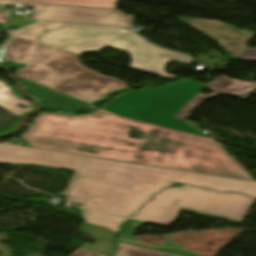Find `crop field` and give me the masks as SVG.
<instances>
[{
  "label": "crop field",
  "instance_id": "1",
  "mask_svg": "<svg viewBox=\"0 0 256 256\" xmlns=\"http://www.w3.org/2000/svg\"><path fill=\"white\" fill-rule=\"evenodd\" d=\"M144 133L130 139L127 127ZM36 148L251 180L212 140L99 109L71 116L42 113L20 135Z\"/></svg>",
  "mask_w": 256,
  "mask_h": 256
},
{
  "label": "crop field",
  "instance_id": "2",
  "mask_svg": "<svg viewBox=\"0 0 256 256\" xmlns=\"http://www.w3.org/2000/svg\"><path fill=\"white\" fill-rule=\"evenodd\" d=\"M177 182L256 196L252 182L85 157L62 197L85 208L130 217L154 194Z\"/></svg>",
  "mask_w": 256,
  "mask_h": 256
},
{
  "label": "crop field",
  "instance_id": "3",
  "mask_svg": "<svg viewBox=\"0 0 256 256\" xmlns=\"http://www.w3.org/2000/svg\"><path fill=\"white\" fill-rule=\"evenodd\" d=\"M12 43L3 57L28 67L19 76L86 103L106 99L107 95L128 89L120 80L99 75L78 63V54L10 36Z\"/></svg>",
  "mask_w": 256,
  "mask_h": 256
},
{
  "label": "crop field",
  "instance_id": "4",
  "mask_svg": "<svg viewBox=\"0 0 256 256\" xmlns=\"http://www.w3.org/2000/svg\"><path fill=\"white\" fill-rule=\"evenodd\" d=\"M12 36L78 54L85 50L98 52L105 46L114 47L131 54L130 68L172 79L176 76L164 71L169 60L188 64L193 61L187 56L155 47L131 31L116 28L41 22L25 27Z\"/></svg>",
  "mask_w": 256,
  "mask_h": 256
},
{
  "label": "crop field",
  "instance_id": "5",
  "mask_svg": "<svg viewBox=\"0 0 256 256\" xmlns=\"http://www.w3.org/2000/svg\"><path fill=\"white\" fill-rule=\"evenodd\" d=\"M256 198L237 193H218L185 185L154 196L132 218L167 225L179 209L240 223Z\"/></svg>",
  "mask_w": 256,
  "mask_h": 256
},
{
  "label": "crop field",
  "instance_id": "6",
  "mask_svg": "<svg viewBox=\"0 0 256 256\" xmlns=\"http://www.w3.org/2000/svg\"><path fill=\"white\" fill-rule=\"evenodd\" d=\"M205 86L186 80L159 89L130 91L114 97L101 108L119 116L206 137L194 122L171 117Z\"/></svg>",
  "mask_w": 256,
  "mask_h": 256
},
{
  "label": "crop field",
  "instance_id": "7",
  "mask_svg": "<svg viewBox=\"0 0 256 256\" xmlns=\"http://www.w3.org/2000/svg\"><path fill=\"white\" fill-rule=\"evenodd\" d=\"M32 19L132 28L134 18L120 10L37 3Z\"/></svg>",
  "mask_w": 256,
  "mask_h": 256
},
{
  "label": "crop field",
  "instance_id": "8",
  "mask_svg": "<svg viewBox=\"0 0 256 256\" xmlns=\"http://www.w3.org/2000/svg\"><path fill=\"white\" fill-rule=\"evenodd\" d=\"M84 157L0 144V163L36 164L77 171Z\"/></svg>",
  "mask_w": 256,
  "mask_h": 256
},
{
  "label": "crop field",
  "instance_id": "9",
  "mask_svg": "<svg viewBox=\"0 0 256 256\" xmlns=\"http://www.w3.org/2000/svg\"><path fill=\"white\" fill-rule=\"evenodd\" d=\"M176 18L217 40L220 48L233 55L231 58L234 59H237L248 48L245 43L255 35L253 32L238 30L221 21L187 17Z\"/></svg>",
  "mask_w": 256,
  "mask_h": 256
},
{
  "label": "crop field",
  "instance_id": "10",
  "mask_svg": "<svg viewBox=\"0 0 256 256\" xmlns=\"http://www.w3.org/2000/svg\"><path fill=\"white\" fill-rule=\"evenodd\" d=\"M256 87V82H242L233 80L225 76L217 77V79L207 85L206 89L214 90L211 95H205L199 93L190 102H188L183 108H181L174 117L185 119L190 113H192L202 102H204L209 96L216 94H230L235 96H241L251 89Z\"/></svg>",
  "mask_w": 256,
  "mask_h": 256
},
{
  "label": "crop field",
  "instance_id": "11",
  "mask_svg": "<svg viewBox=\"0 0 256 256\" xmlns=\"http://www.w3.org/2000/svg\"><path fill=\"white\" fill-rule=\"evenodd\" d=\"M27 83L31 90H35L33 94L43 99L46 104L45 107L65 109H85L89 107V104L58 93L31 81H28Z\"/></svg>",
  "mask_w": 256,
  "mask_h": 256
},
{
  "label": "crop field",
  "instance_id": "12",
  "mask_svg": "<svg viewBox=\"0 0 256 256\" xmlns=\"http://www.w3.org/2000/svg\"><path fill=\"white\" fill-rule=\"evenodd\" d=\"M79 230L81 232L92 235L95 238L93 245L84 243L78 249L108 255L112 252L113 244L112 240L116 236V232L106 230L102 227L95 226L88 223H83Z\"/></svg>",
  "mask_w": 256,
  "mask_h": 256
},
{
  "label": "crop field",
  "instance_id": "13",
  "mask_svg": "<svg viewBox=\"0 0 256 256\" xmlns=\"http://www.w3.org/2000/svg\"><path fill=\"white\" fill-rule=\"evenodd\" d=\"M24 104L27 108H19L18 105ZM32 106L18 99L9 89L0 93V129L12 124L16 116L29 111Z\"/></svg>",
  "mask_w": 256,
  "mask_h": 256
},
{
  "label": "crop field",
  "instance_id": "14",
  "mask_svg": "<svg viewBox=\"0 0 256 256\" xmlns=\"http://www.w3.org/2000/svg\"><path fill=\"white\" fill-rule=\"evenodd\" d=\"M167 238V244L164 245H158V244H153L152 246L147 245L142 243L140 240H138L135 237H131L128 235H124L120 233V239L119 242L159 251V252H164L172 255H177V256H204L196 252H192L189 250L183 249L185 245H180V244H173V234H166Z\"/></svg>",
  "mask_w": 256,
  "mask_h": 256
},
{
  "label": "crop field",
  "instance_id": "15",
  "mask_svg": "<svg viewBox=\"0 0 256 256\" xmlns=\"http://www.w3.org/2000/svg\"><path fill=\"white\" fill-rule=\"evenodd\" d=\"M84 214V221L95 225L102 226L106 229L118 231L119 225L125 220V218L116 217L108 214L94 212L80 208Z\"/></svg>",
  "mask_w": 256,
  "mask_h": 256
},
{
  "label": "crop field",
  "instance_id": "16",
  "mask_svg": "<svg viewBox=\"0 0 256 256\" xmlns=\"http://www.w3.org/2000/svg\"><path fill=\"white\" fill-rule=\"evenodd\" d=\"M32 1L115 9L117 0H32Z\"/></svg>",
  "mask_w": 256,
  "mask_h": 256
},
{
  "label": "crop field",
  "instance_id": "17",
  "mask_svg": "<svg viewBox=\"0 0 256 256\" xmlns=\"http://www.w3.org/2000/svg\"><path fill=\"white\" fill-rule=\"evenodd\" d=\"M116 256H172L164 253H159L127 244L120 243Z\"/></svg>",
  "mask_w": 256,
  "mask_h": 256
},
{
  "label": "crop field",
  "instance_id": "18",
  "mask_svg": "<svg viewBox=\"0 0 256 256\" xmlns=\"http://www.w3.org/2000/svg\"><path fill=\"white\" fill-rule=\"evenodd\" d=\"M10 88H11V90L13 91V93H14L18 98H20V99L26 101V100L22 97V93H21V91L19 90V88H18L17 86L14 85V86H12V87H10ZM26 102L29 103L28 101H26ZM29 104H31V105L33 106V109H32L31 111H29V112L34 111V110H35V104H34L33 102H31V103H29ZM29 112H26V113L20 115L19 117H17V118L15 119L14 123H13L11 126L5 128V129L0 130V135H5V134H8V133L14 131V130L17 128L16 123H17L18 119L21 118L22 116H24L25 114L29 113Z\"/></svg>",
  "mask_w": 256,
  "mask_h": 256
},
{
  "label": "crop field",
  "instance_id": "19",
  "mask_svg": "<svg viewBox=\"0 0 256 256\" xmlns=\"http://www.w3.org/2000/svg\"><path fill=\"white\" fill-rule=\"evenodd\" d=\"M143 224H145V222L135 221V220L129 219L127 222H125L121 226L120 232L133 236L135 231H136V228L143 225Z\"/></svg>",
  "mask_w": 256,
  "mask_h": 256
},
{
  "label": "crop field",
  "instance_id": "20",
  "mask_svg": "<svg viewBox=\"0 0 256 256\" xmlns=\"http://www.w3.org/2000/svg\"><path fill=\"white\" fill-rule=\"evenodd\" d=\"M238 59L256 61V49L248 48Z\"/></svg>",
  "mask_w": 256,
  "mask_h": 256
},
{
  "label": "crop field",
  "instance_id": "21",
  "mask_svg": "<svg viewBox=\"0 0 256 256\" xmlns=\"http://www.w3.org/2000/svg\"><path fill=\"white\" fill-rule=\"evenodd\" d=\"M37 2L32 1H20V0H0V4L11 5V4H19V5H30L35 6Z\"/></svg>",
  "mask_w": 256,
  "mask_h": 256
},
{
  "label": "crop field",
  "instance_id": "22",
  "mask_svg": "<svg viewBox=\"0 0 256 256\" xmlns=\"http://www.w3.org/2000/svg\"><path fill=\"white\" fill-rule=\"evenodd\" d=\"M69 256H102V255H98V254H94V253H90V252H86V251L76 249Z\"/></svg>",
  "mask_w": 256,
  "mask_h": 256
},
{
  "label": "crop field",
  "instance_id": "23",
  "mask_svg": "<svg viewBox=\"0 0 256 256\" xmlns=\"http://www.w3.org/2000/svg\"><path fill=\"white\" fill-rule=\"evenodd\" d=\"M9 14H10V12H1L0 11V22L7 23ZM5 27H8V26H5ZM0 28H3V27L0 25Z\"/></svg>",
  "mask_w": 256,
  "mask_h": 256
},
{
  "label": "crop field",
  "instance_id": "24",
  "mask_svg": "<svg viewBox=\"0 0 256 256\" xmlns=\"http://www.w3.org/2000/svg\"><path fill=\"white\" fill-rule=\"evenodd\" d=\"M7 88H9V87H7L6 84H4L3 82L0 81V92Z\"/></svg>",
  "mask_w": 256,
  "mask_h": 256
},
{
  "label": "crop field",
  "instance_id": "25",
  "mask_svg": "<svg viewBox=\"0 0 256 256\" xmlns=\"http://www.w3.org/2000/svg\"><path fill=\"white\" fill-rule=\"evenodd\" d=\"M0 7H7V6H1V5H0ZM3 11H5V10H3Z\"/></svg>",
  "mask_w": 256,
  "mask_h": 256
}]
</instances>
